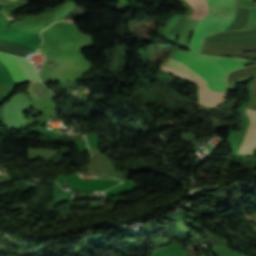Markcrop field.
<instances>
[{
  "instance_id": "crop-field-8",
  "label": "crop field",
  "mask_w": 256,
  "mask_h": 256,
  "mask_svg": "<svg viewBox=\"0 0 256 256\" xmlns=\"http://www.w3.org/2000/svg\"><path fill=\"white\" fill-rule=\"evenodd\" d=\"M29 89L35 93L40 99L54 97L41 83H31ZM29 89H27L31 100L39 99L35 94H33Z\"/></svg>"
},
{
  "instance_id": "crop-field-6",
  "label": "crop field",
  "mask_w": 256,
  "mask_h": 256,
  "mask_svg": "<svg viewBox=\"0 0 256 256\" xmlns=\"http://www.w3.org/2000/svg\"><path fill=\"white\" fill-rule=\"evenodd\" d=\"M255 86L252 96L253 101L246 111L256 112V79L251 84ZM248 117L251 119L247 131L245 133L244 139L239 149V153L250 154L254 148H256V113L246 112Z\"/></svg>"
},
{
  "instance_id": "crop-field-2",
  "label": "crop field",
  "mask_w": 256,
  "mask_h": 256,
  "mask_svg": "<svg viewBox=\"0 0 256 256\" xmlns=\"http://www.w3.org/2000/svg\"><path fill=\"white\" fill-rule=\"evenodd\" d=\"M193 9L192 19L201 20L195 30L190 50L200 52L202 38L228 26L233 15L232 0H187Z\"/></svg>"
},
{
  "instance_id": "crop-field-7",
  "label": "crop field",
  "mask_w": 256,
  "mask_h": 256,
  "mask_svg": "<svg viewBox=\"0 0 256 256\" xmlns=\"http://www.w3.org/2000/svg\"><path fill=\"white\" fill-rule=\"evenodd\" d=\"M235 15L229 24V26L221 31H227L231 29H243L249 15V9L241 7L235 0ZM219 31V32H221Z\"/></svg>"
},
{
  "instance_id": "crop-field-1",
  "label": "crop field",
  "mask_w": 256,
  "mask_h": 256,
  "mask_svg": "<svg viewBox=\"0 0 256 256\" xmlns=\"http://www.w3.org/2000/svg\"><path fill=\"white\" fill-rule=\"evenodd\" d=\"M246 60L178 51L163 70L194 82L198 87V104L213 107L220 101L224 89L227 88L225 75L244 67Z\"/></svg>"
},
{
  "instance_id": "crop-field-5",
  "label": "crop field",
  "mask_w": 256,
  "mask_h": 256,
  "mask_svg": "<svg viewBox=\"0 0 256 256\" xmlns=\"http://www.w3.org/2000/svg\"><path fill=\"white\" fill-rule=\"evenodd\" d=\"M26 96L15 95L6 103V122L9 128L25 127L24 112L29 110Z\"/></svg>"
},
{
  "instance_id": "crop-field-4",
  "label": "crop field",
  "mask_w": 256,
  "mask_h": 256,
  "mask_svg": "<svg viewBox=\"0 0 256 256\" xmlns=\"http://www.w3.org/2000/svg\"><path fill=\"white\" fill-rule=\"evenodd\" d=\"M0 60L7 67L16 84L19 81H39L35 74L33 66L28 61L15 58L3 53H0Z\"/></svg>"
},
{
  "instance_id": "crop-field-9",
  "label": "crop field",
  "mask_w": 256,
  "mask_h": 256,
  "mask_svg": "<svg viewBox=\"0 0 256 256\" xmlns=\"http://www.w3.org/2000/svg\"><path fill=\"white\" fill-rule=\"evenodd\" d=\"M253 74H256V66L248 67L245 69H239L228 75L227 82L229 83V82L238 80L242 77L253 75Z\"/></svg>"
},
{
  "instance_id": "crop-field-3",
  "label": "crop field",
  "mask_w": 256,
  "mask_h": 256,
  "mask_svg": "<svg viewBox=\"0 0 256 256\" xmlns=\"http://www.w3.org/2000/svg\"><path fill=\"white\" fill-rule=\"evenodd\" d=\"M207 50L256 51V31L212 35L204 39L203 49L201 52L222 56L256 59V53L220 52Z\"/></svg>"
}]
</instances>
